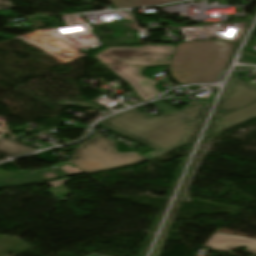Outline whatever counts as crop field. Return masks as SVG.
<instances>
[{"instance_id": "crop-field-7", "label": "crop field", "mask_w": 256, "mask_h": 256, "mask_svg": "<svg viewBox=\"0 0 256 256\" xmlns=\"http://www.w3.org/2000/svg\"><path fill=\"white\" fill-rule=\"evenodd\" d=\"M255 116H256V103L248 107H245L241 110H238L236 112H233L221 119L216 120V123L218 124L216 133L237 122H240L244 119L255 117Z\"/></svg>"}, {"instance_id": "crop-field-4", "label": "crop field", "mask_w": 256, "mask_h": 256, "mask_svg": "<svg viewBox=\"0 0 256 256\" xmlns=\"http://www.w3.org/2000/svg\"><path fill=\"white\" fill-rule=\"evenodd\" d=\"M114 144L115 142L108 138L95 135L81 147L75 149L73 160L70 163L84 173H91L145 161L135 152L117 153Z\"/></svg>"}, {"instance_id": "crop-field-9", "label": "crop field", "mask_w": 256, "mask_h": 256, "mask_svg": "<svg viewBox=\"0 0 256 256\" xmlns=\"http://www.w3.org/2000/svg\"><path fill=\"white\" fill-rule=\"evenodd\" d=\"M118 8L129 6L151 5L157 3L171 2L175 0H110Z\"/></svg>"}, {"instance_id": "crop-field-1", "label": "crop field", "mask_w": 256, "mask_h": 256, "mask_svg": "<svg viewBox=\"0 0 256 256\" xmlns=\"http://www.w3.org/2000/svg\"><path fill=\"white\" fill-rule=\"evenodd\" d=\"M208 107L207 103L201 102L181 112L156 118L134 109L113 116L101 124L157 149L143 156L152 159L184 145L193 126L203 119Z\"/></svg>"}, {"instance_id": "crop-field-2", "label": "crop field", "mask_w": 256, "mask_h": 256, "mask_svg": "<svg viewBox=\"0 0 256 256\" xmlns=\"http://www.w3.org/2000/svg\"><path fill=\"white\" fill-rule=\"evenodd\" d=\"M234 46L220 40L179 43L172 54L170 74L181 84L217 81Z\"/></svg>"}, {"instance_id": "crop-field-10", "label": "crop field", "mask_w": 256, "mask_h": 256, "mask_svg": "<svg viewBox=\"0 0 256 256\" xmlns=\"http://www.w3.org/2000/svg\"><path fill=\"white\" fill-rule=\"evenodd\" d=\"M15 8L9 0H0V9H12Z\"/></svg>"}, {"instance_id": "crop-field-11", "label": "crop field", "mask_w": 256, "mask_h": 256, "mask_svg": "<svg viewBox=\"0 0 256 256\" xmlns=\"http://www.w3.org/2000/svg\"><path fill=\"white\" fill-rule=\"evenodd\" d=\"M89 256H107V255H101V254L92 253V254L89 255Z\"/></svg>"}, {"instance_id": "crop-field-8", "label": "crop field", "mask_w": 256, "mask_h": 256, "mask_svg": "<svg viewBox=\"0 0 256 256\" xmlns=\"http://www.w3.org/2000/svg\"><path fill=\"white\" fill-rule=\"evenodd\" d=\"M31 150L35 149L14 142L12 140L6 139L4 137L0 139V153L5 154L9 157L16 156Z\"/></svg>"}, {"instance_id": "crop-field-3", "label": "crop field", "mask_w": 256, "mask_h": 256, "mask_svg": "<svg viewBox=\"0 0 256 256\" xmlns=\"http://www.w3.org/2000/svg\"><path fill=\"white\" fill-rule=\"evenodd\" d=\"M174 47L142 46L140 48H108L95 56L104 66L111 68L127 81L145 101L156 96V83L139 73L149 65L167 64ZM155 58V60H153ZM166 59L165 61H160Z\"/></svg>"}, {"instance_id": "crop-field-5", "label": "crop field", "mask_w": 256, "mask_h": 256, "mask_svg": "<svg viewBox=\"0 0 256 256\" xmlns=\"http://www.w3.org/2000/svg\"><path fill=\"white\" fill-rule=\"evenodd\" d=\"M256 101V88L236 79H230L228 88L214 117H220Z\"/></svg>"}, {"instance_id": "crop-field-6", "label": "crop field", "mask_w": 256, "mask_h": 256, "mask_svg": "<svg viewBox=\"0 0 256 256\" xmlns=\"http://www.w3.org/2000/svg\"><path fill=\"white\" fill-rule=\"evenodd\" d=\"M204 246L222 252L245 246L248 247L247 252L256 254V240L218 232H215Z\"/></svg>"}]
</instances>
